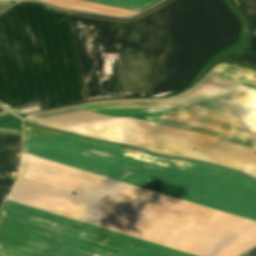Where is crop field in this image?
<instances>
[{"label": "crop field", "instance_id": "1", "mask_svg": "<svg viewBox=\"0 0 256 256\" xmlns=\"http://www.w3.org/2000/svg\"><path fill=\"white\" fill-rule=\"evenodd\" d=\"M248 256H256V248L254 250H252L251 252H249L248 254H246Z\"/></svg>", "mask_w": 256, "mask_h": 256}]
</instances>
